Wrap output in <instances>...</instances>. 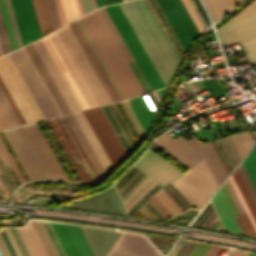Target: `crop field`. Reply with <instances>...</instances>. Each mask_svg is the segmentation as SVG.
<instances>
[{
	"label": "crop field",
	"mask_w": 256,
	"mask_h": 256,
	"mask_svg": "<svg viewBox=\"0 0 256 256\" xmlns=\"http://www.w3.org/2000/svg\"><path fill=\"white\" fill-rule=\"evenodd\" d=\"M61 4L65 14L66 22L81 15L77 0H61Z\"/></svg>",
	"instance_id": "1d83c4d3"
},
{
	"label": "crop field",
	"mask_w": 256,
	"mask_h": 256,
	"mask_svg": "<svg viewBox=\"0 0 256 256\" xmlns=\"http://www.w3.org/2000/svg\"><path fill=\"white\" fill-rule=\"evenodd\" d=\"M27 53L29 54L31 60L33 61L35 67L37 68L39 74L41 75L42 79L44 80L46 86L48 87L50 93L52 94L54 100L56 101L58 107L60 108L62 114L69 113L70 110L66 105L63 97L61 96L59 90L57 89L56 85L54 84L52 78L50 77L49 73L47 72L45 66L43 65L42 61L40 60L39 56L37 55L35 49L33 48L32 44L25 46Z\"/></svg>",
	"instance_id": "4a817a6b"
},
{
	"label": "crop field",
	"mask_w": 256,
	"mask_h": 256,
	"mask_svg": "<svg viewBox=\"0 0 256 256\" xmlns=\"http://www.w3.org/2000/svg\"><path fill=\"white\" fill-rule=\"evenodd\" d=\"M19 29L22 45H26L38 38L40 32L35 18L31 0H11Z\"/></svg>",
	"instance_id": "28ad6ade"
},
{
	"label": "crop field",
	"mask_w": 256,
	"mask_h": 256,
	"mask_svg": "<svg viewBox=\"0 0 256 256\" xmlns=\"http://www.w3.org/2000/svg\"><path fill=\"white\" fill-rule=\"evenodd\" d=\"M249 255H250V256H256V255H254V254H250V253H249Z\"/></svg>",
	"instance_id": "c3a83c6f"
},
{
	"label": "crop field",
	"mask_w": 256,
	"mask_h": 256,
	"mask_svg": "<svg viewBox=\"0 0 256 256\" xmlns=\"http://www.w3.org/2000/svg\"><path fill=\"white\" fill-rule=\"evenodd\" d=\"M202 83L213 98L224 95L215 79L202 80Z\"/></svg>",
	"instance_id": "028f5c9d"
},
{
	"label": "crop field",
	"mask_w": 256,
	"mask_h": 256,
	"mask_svg": "<svg viewBox=\"0 0 256 256\" xmlns=\"http://www.w3.org/2000/svg\"><path fill=\"white\" fill-rule=\"evenodd\" d=\"M0 88H1V90L3 91V93H4L5 97L7 98V100H8V102H9V104L11 105V107H12L13 111L15 112V114H16V116H17V118L19 119V121H20L21 125H24V124H25V122H24L23 118L21 117L20 113L18 112V110H17L16 106L14 105V103H13L12 99L10 98V96H9V94H8L7 90L5 89V87H4V85H3V83H2V81H1V80H0Z\"/></svg>",
	"instance_id": "b54c1fbb"
},
{
	"label": "crop field",
	"mask_w": 256,
	"mask_h": 256,
	"mask_svg": "<svg viewBox=\"0 0 256 256\" xmlns=\"http://www.w3.org/2000/svg\"><path fill=\"white\" fill-rule=\"evenodd\" d=\"M173 215L183 210L172 200V198L161 188L154 195Z\"/></svg>",
	"instance_id": "bd1437ed"
},
{
	"label": "crop field",
	"mask_w": 256,
	"mask_h": 256,
	"mask_svg": "<svg viewBox=\"0 0 256 256\" xmlns=\"http://www.w3.org/2000/svg\"><path fill=\"white\" fill-rule=\"evenodd\" d=\"M211 202L224 227L228 230L241 233L220 189H218V191L212 197Z\"/></svg>",
	"instance_id": "92a150f3"
},
{
	"label": "crop field",
	"mask_w": 256,
	"mask_h": 256,
	"mask_svg": "<svg viewBox=\"0 0 256 256\" xmlns=\"http://www.w3.org/2000/svg\"><path fill=\"white\" fill-rule=\"evenodd\" d=\"M216 216H217V215H216V213H215L214 210H213V212L210 214V216H209L208 219L205 221V223L202 225V227L208 228L209 225L212 223V221L215 219Z\"/></svg>",
	"instance_id": "9d1cf04e"
},
{
	"label": "crop field",
	"mask_w": 256,
	"mask_h": 256,
	"mask_svg": "<svg viewBox=\"0 0 256 256\" xmlns=\"http://www.w3.org/2000/svg\"><path fill=\"white\" fill-rule=\"evenodd\" d=\"M83 4H84V8H85V12H89L91 11V5H90V1L89 0H82Z\"/></svg>",
	"instance_id": "7b73153f"
},
{
	"label": "crop field",
	"mask_w": 256,
	"mask_h": 256,
	"mask_svg": "<svg viewBox=\"0 0 256 256\" xmlns=\"http://www.w3.org/2000/svg\"><path fill=\"white\" fill-rule=\"evenodd\" d=\"M65 118L101 181L102 179H104L107 176L104 169L102 168L100 162L98 161L96 155L94 154L93 150L91 149L89 143L87 142L85 136L83 135L82 131L80 130V128H79L78 124L76 123L75 119L73 118L72 114L65 115Z\"/></svg>",
	"instance_id": "bc2a9ffb"
},
{
	"label": "crop field",
	"mask_w": 256,
	"mask_h": 256,
	"mask_svg": "<svg viewBox=\"0 0 256 256\" xmlns=\"http://www.w3.org/2000/svg\"><path fill=\"white\" fill-rule=\"evenodd\" d=\"M0 147L2 148L4 154L6 155V157H7L8 161H9V163L11 164V166H12L13 170L15 171L17 177L19 178L21 184L25 183L24 180H23V178H22V176H21V174L19 173L17 167L15 166V164H14L12 158L10 157V155H9V153H8V151H7V149L5 148L3 142L1 141V139H0Z\"/></svg>",
	"instance_id": "d23c7cc5"
},
{
	"label": "crop field",
	"mask_w": 256,
	"mask_h": 256,
	"mask_svg": "<svg viewBox=\"0 0 256 256\" xmlns=\"http://www.w3.org/2000/svg\"><path fill=\"white\" fill-rule=\"evenodd\" d=\"M63 117V119H64V121H65V123L67 124V122H66V120H65V118H64V116H62ZM67 126H68V128H69V130L71 131V129H70V127H69V125L67 124ZM71 133H72V135H73V137L75 138V136H74V134H73V132L71 131ZM75 140H76V138H75ZM76 142H77V144L79 145V143H78V141L76 140ZM79 147H80V145H79ZM80 149H81V147H80ZM81 151H82V153L84 154V152H83V150L81 149ZM84 156H85V154H84ZM85 158H86V160L88 161V159H87V157L85 156ZM88 163H89V161H88ZM89 165H90V163H89ZM90 167L92 168V166L90 165ZM92 170H93V168H92ZM93 172H94V170H93ZM94 174L96 175V173L94 172ZM96 177H97V175H96ZM97 179H98V177H97ZM98 181H99V179H98Z\"/></svg>",
	"instance_id": "db79e9e6"
},
{
	"label": "crop field",
	"mask_w": 256,
	"mask_h": 256,
	"mask_svg": "<svg viewBox=\"0 0 256 256\" xmlns=\"http://www.w3.org/2000/svg\"><path fill=\"white\" fill-rule=\"evenodd\" d=\"M66 256H77L74 247L62 224L50 223Z\"/></svg>",
	"instance_id": "d3111659"
},
{
	"label": "crop field",
	"mask_w": 256,
	"mask_h": 256,
	"mask_svg": "<svg viewBox=\"0 0 256 256\" xmlns=\"http://www.w3.org/2000/svg\"><path fill=\"white\" fill-rule=\"evenodd\" d=\"M178 39L186 50L189 43L200 33L195 28L180 0H156Z\"/></svg>",
	"instance_id": "3316defc"
},
{
	"label": "crop field",
	"mask_w": 256,
	"mask_h": 256,
	"mask_svg": "<svg viewBox=\"0 0 256 256\" xmlns=\"http://www.w3.org/2000/svg\"><path fill=\"white\" fill-rule=\"evenodd\" d=\"M77 22H78L79 26L81 27L83 33L85 34L87 40L89 41L90 45L92 46L94 52L96 53L98 59L100 60L102 66L104 67L106 73L108 74L110 80L112 81L113 85L115 86V88H116L117 92L119 93L121 99H124V98H125L124 94L122 93L120 87L118 86V84H117V82L115 81L113 75L111 74V72H110V70H109L110 68L108 69L109 66L107 67V65H106V63H105V61H104L105 59L103 60V58H102L100 52L98 51V49H97L95 43L93 42L91 36L89 35V33H88L86 27L84 26V24H83L81 18L77 19Z\"/></svg>",
	"instance_id": "ae1a2a85"
},
{
	"label": "crop field",
	"mask_w": 256,
	"mask_h": 256,
	"mask_svg": "<svg viewBox=\"0 0 256 256\" xmlns=\"http://www.w3.org/2000/svg\"><path fill=\"white\" fill-rule=\"evenodd\" d=\"M29 180L51 179L22 127L3 131Z\"/></svg>",
	"instance_id": "e52e79f7"
},
{
	"label": "crop field",
	"mask_w": 256,
	"mask_h": 256,
	"mask_svg": "<svg viewBox=\"0 0 256 256\" xmlns=\"http://www.w3.org/2000/svg\"><path fill=\"white\" fill-rule=\"evenodd\" d=\"M153 143L188 169L204 159L218 185L228 176L212 142L201 144L196 137L188 141L181 136L174 140L165 133Z\"/></svg>",
	"instance_id": "ac0d7876"
},
{
	"label": "crop field",
	"mask_w": 256,
	"mask_h": 256,
	"mask_svg": "<svg viewBox=\"0 0 256 256\" xmlns=\"http://www.w3.org/2000/svg\"><path fill=\"white\" fill-rule=\"evenodd\" d=\"M71 30L73 31L75 37L77 38L78 42L80 43L82 49L84 50L86 56L88 57L90 63L92 64L93 68L95 69L97 75L104 74L105 71L101 66L99 60L97 59L95 53L93 52L91 46L89 45L88 41L86 40L84 34L82 33L80 27L78 26L76 20L68 23ZM102 84L104 85L107 93L109 94L112 102L120 100L118 93L116 92L114 86L112 85L111 81L109 80L107 74L99 76Z\"/></svg>",
	"instance_id": "5142ce71"
},
{
	"label": "crop field",
	"mask_w": 256,
	"mask_h": 256,
	"mask_svg": "<svg viewBox=\"0 0 256 256\" xmlns=\"http://www.w3.org/2000/svg\"><path fill=\"white\" fill-rule=\"evenodd\" d=\"M195 243L189 242L188 245L184 248V250L181 252L179 256H186L188 252L191 250V248L194 246Z\"/></svg>",
	"instance_id": "447ae74e"
},
{
	"label": "crop field",
	"mask_w": 256,
	"mask_h": 256,
	"mask_svg": "<svg viewBox=\"0 0 256 256\" xmlns=\"http://www.w3.org/2000/svg\"><path fill=\"white\" fill-rule=\"evenodd\" d=\"M255 223H256V204L238 170V168L231 174Z\"/></svg>",
	"instance_id": "4177f3b9"
},
{
	"label": "crop field",
	"mask_w": 256,
	"mask_h": 256,
	"mask_svg": "<svg viewBox=\"0 0 256 256\" xmlns=\"http://www.w3.org/2000/svg\"><path fill=\"white\" fill-rule=\"evenodd\" d=\"M221 45L241 43L256 37V18L219 30Z\"/></svg>",
	"instance_id": "d9b57169"
},
{
	"label": "crop field",
	"mask_w": 256,
	"mask_h": 256,
	"mask_svg": "<svg viewBox=\"0 0 256 256\" xmlns=\"http://www.w3.org/2000/svg\"><path fill=\"white\" fill-rule=\"evenodd\" d=\"M242 233L256 235V232L247 216V214L235 217Z\"/></svg>",
	"instance_id": "5866460e"
},
{
	"label": "crop field",
	"mask_w": 256,
	"mask_h": 256,
	"mask_svg": "<svg viewBox=\"0 0 256 256\" xmlns=\"http://www.w3.org/2000/svg\"><path fill=\"white\" fill-rule=\"evenodd\" d=\"M214 21L240 3L242 0H203Z\"/></svg>",
	"instance_id": "a9b5d70f"
},
{
	"label": "crop field",
	"mask_w": 256,
	"mask_h": 256,
	"mask_svg": "<svg viewBox=\"0 0 256 256\" xmlns=\"http://www.w3.org/2000/svg\"><path fill=\"white\" fill-rule=\"evenodd\" d=\"M226 256H249L248 253L230 250Z\"/></svg>",
	"instance_id": "0765c3eb"
},
{
	"label": "crop field",
	"mask_w": 256,
	"mask_h": 256,
	"mask_svg": "<svg viewBox=\"0 0 256 256\" xmlns=\"http://www.w3.org/2000/svg\"><path fill=\"white\" fill-rule=\"evenodd\" d=\"M123 0H105V4L108 5V4H112V3H117V2H121Z\"/></svg>",
	"instance_id": "78b8030e"
},
{
	"label": "crop field",
	"mask_w": 256,
	"mask_h": 256,
	"mask_svg": "<svg viewBox=\"0 0 256 256\" xmlns=\"http://www.w3.org/2000/svg\"><path fill=\"white\" fill-rule=\"evenodd\" d=\"M181 1L183 2V4H184L186 10L188 11V13H189L191 19L193 20V22H194L196 28H197V29L199 30V32L201 33L204 29H203L201 23L199 22V20H198L196 14L194 13L192 7L190 6L188 0H181Z\"/></svg>",
	"instance_id": "03da06ac"
},
{
	"label": "crop field",
	"mask_w": 256,
	"mask_h": 256,
	"mask_svg": "<svg viewBox=\"0 0 256 256\" xmlns=\"http://www.w3.org/2000/svg\"><path fill=\"white\" fill-rule=\"evenodd\" d=\"M230 138L242 160L254 142L249 131L234 134Z\"/></svg>",
	"instance_id": "730fd06b"
},
{
	"label": "crop field",
	"mask_w": 256,
	"mask_h": 256,
	"mask_svg": "<svg viewBox=\"0 0 256 256\" xmlns=\"http://www.w3.org/2000/svg\"><path fill=\"white\" fill-rule=\"evenodd\" d=\"M48 256H58L42 223L31 221Z\"/></svg>",
	"instance_id": "750c4746"
},
{
	"label": "crop field",
	"mask_w": 256,
	"mask_h": 256,
	"mask_svg": "<svg viewBox=\"0 0 256 256\" xmlns=\"http://www.w3.org/2000/svg\"><path fill=\"white\" fill-rule=\"evenodd\" d=\"M164 86L170 85L180 64L144 0L119 4Z\"/></svg>",
	"instance_id": "8a807250"
},
{
	"label": "crop field",
	"mask_w": 256,
	"mask_h": 256,
	"mask_svg": "<svg viewBox=\"0 0 256 256\" xmlns=\"http://www.w3.org/2000/svg\"><path fill=\"white\" fill-rule=\"evenodd\" d=\"M0 154H1V156L3 157L5 163H7V161H6L5 157H4V155L2 154L1 150H0Z\"/></svg>",
	"instance_id": "c39391a2"
},
{
	"label": "crop field",
	"mask_w": 256,
	"mask_h": 256,
	"mask_svg": "<svg viewBox=\"0 0 256 256\" xmlns=\"http://www.w3.org/2000/svg\"><path fill=\"white\" fill-rule=\"evenodd\" d=\"M153 206L166 218L172 215L154 196L149 200Z\"/></svg>",
	"instance_id": "25e5ab78"
},
{
	"label": "crop field",
	"mask_w": 256,
	"mask_h": 256,
	"mask_svg": "<svg viewBox=\"0 0 256 256\" xmlns=\"http://www.w3.org/2000/svg\"><path fill=\"white\" fill-rule=\"evenodd\" d=\"M42 223H43V225H44V227H45V229H46V231H47V233H48V235H49V237H50V239H51V241H52V243H53V245H54V247H55V249L58 253V255L59 256H65L64 253H63V250H62V248H61V246H60V244H59V242H58V240H57V238H56V236H55V234H54V232H53V230L50 226V224L45 223V222H42Z\"/></svg>",
	"instance_id": "b80d0937"
},
{
	"label": "crop field",
	"mask_w": 256,
	"mask_h": 256,
	"mask_svg": "<svg viewBox=\"0 0 256 256\" xmlns=\"http://www.w3.org/2000/svg\"><path fill=\"white\" fill-rule=\"evenodd\" d=\"M76 65L81 71L99 105L111 103L109 96L91 67L88 59L70 30L68 24L57 30Z\"/></svg>",
	"instance_id": "d8731c3e"
},
{
	"label": "crop field",
	"mask_w": 256,
	"mask_h": 256,
	"mask_svg": "<svg viewBox=\"0 0 256 256\" xmlns=\"http://www.w3.org/2000/svg\"><path fill=\"white\" fill-rule=\"evenodd\" d=\"M0 172H1V169H0Z\"/></svg>",
	"instance_id": "fb207236"
},
{
	"label": "crop field",
	"mask_w": 256,
	"mask_h": 256,
	"mask_svg": "<svg viewBox=\"0 0 256 256\" xmlns=\"http://www.w3.org/2000/svg\"><path fill=\"white\" fill-rule=\"evenodd\" d=\"M55 3H56V6H57V10H58V13H59L61 24L63 25L66 22H65L64 14H63L62 7H61V4H60V0H55Z\"/></svg>",
	"instance_id": "1d79db26"
},
{
	"label": "crop field",
	"mask_w": 256,
	"mask_h": 256,
	"mask_svg": "<svg viewBox=\"0 0 256 256\" xmlns=\"http://www.w3.org/2000/svg\"><path fill=\"white\" fill-rule=\"evenodd\" d=\"M78 3H79V6H80V10H81V14H85L84 12V8H83V5H82V1L81 0H78Z\"/></svg>",
	"instance_id": "0f1d7ab4"
},
{
	"label": "crop field",
	"mask_w": 256,
	"mask_h": 256,
	"mask_svg": "<svg viewBox=\"0 0 256 256\" xmlns=\"http://www.w3.org/2000/svg\"><path fill=\"white\" fill-rule=\"evenodd\" d=\"M41 40L69 86L79 108L82 110L98 106L57 31Z\"/></svg>",
	"instance_id": "34b2d1b8"
},
{
	"label": "crop field",
	"mask_w": 256,
	"mask_h": 256,
	"mask_svg": "<svg viewBox=\"0 0 256 256\" xmlns=\"http://www.w3.org/2000/svg\"><path fill=\"white\" fill-rule=\"evenodd\" d=\"M106 9L127 47L132 53L136 64L149 84L151 90L163 87L161 80L159 79L156 71L150 63L118 4L107 6Z\"/></svg>",
	"instance_id": "dd49c442"
},
{
	"label": "crop field",
	"mask_w": 256,
	"mask_h": 256,
	"mask_svg": "<svg viewBox=\"0 0 256 256\" xmlns=\"http://www.w3.org/2000/svg\"><path fill=\"white\" fill-rule=\"evenodd\" d=\"M114 168L127 156L100 107L83 111Z\"/></svg>",
	"instance_id": "5a996713"
},
{
	"label": "crop field",
	"mask_w": 256,
	"mask_h": 256,
	"mask_svg": "<svg viewBox=\"0 0 256 256\" xmlns=\"http://www.w3.org/2000/svg\"><path fill=\"white\" fill-rule=\"evenodd\" d=\"M63 225L76 249L78 256H93L79 227L75 225Z\"/></svg>",
	"instance_id": "00972430"
},
{
	"label": "crop field",
	"mask_w": 256,
	"mask_h": 256,
	"mask_svg": "<svg viewBox=\"0 0 256 256\" xmlns=\"http://www.w3.org/2000/svg\"><path fill=\"white\" fill-rule=\"evenodd\" d=\"M5 4H6V7H7L8 14H9V18H10V22H11L12 29H13V32H14L17 47L19 48L22 45H21V41H20L18 30H17V26H16V22H15V18H14V14H13V11H12L10 0H5Z\"/></svg>",
	"instance_id": "0bd39190"
},
{
	"label": "crop field",
	"mask_w": 256,
	"mask_h": 256,
	"mask_svg": "<svg viewBox=\"0 0 256 256\" xmlns=\"http://www.w3.org/2000/svg\"><path fill=\"white\" fill-rule=\"evenodd\" d=\"M24 48V47H23ZM25 50V49H24ZM26 52V51H25ZM27 54V53H26ZM28 55V54H27ZM29 57V56H28ZM30 59V58H29ZM31 61V60H30ZM32 62V61H31ZM33 64V63H32ZM34 66V65H33ZM35 68V67H34ZM36 69V68H35ZM37 71V70H36ZM38 73V72H37ZM39 75V74H38ZM40 76V75H39ZM41 78V77H40ZM42 80V79H41ZM43 82V81H42ZM44 83V82H43ZM45 85V84H44ZM46 87V86H45ZM47 88V87H46ZM48 90V89H47ZM49 92V91H48ZM50 94V93H49ZM51 95V94H50ZM52 97V96H51ZM53 99V98H52ZM54 101V100H53ZM55 102V101H54ZM56 104V103H55ZM57 106V105H56ZM58 108V107H57ZM59 109V108H58ZM60 111V110H59ZM61 113V112H60ZM62 115V114H61Z\"/></svg>",
	"instance_id": "d14b1444"
},
{
	"label": "crop field",
	"mask_w": 256,
	"mask_h": 256,
	"mask_svg": "<svg viewBox=\"0 0 256 256\" xmlns=\"http://www.w3.org/2000/svg\"><path fill=\"white\" fill-rule=\"evenodd\" d=\"M254 17H256V13L245 16V17H242V18H239V19H236V20H233V21H230L226 25H224L223 27H226V26H229V25H232V24H235V23L247 20V19H251V18H254ZM223 27H221V28H223Z\"/></svg>",
	"instance_id": "dbb93151"
},
{
	"label": "crop field",
	"mask_w": 256,
	"mask_h": 256,
	"mask_svg": "<svg viewBox=\"0 0 256 256\" xmlns=\"http://www.w3.org/2000/svg\"><path fill=\"white\" fill-rule=\"evenodd\" d=\"M149 149L147 148L145 154L135 164L149 174L158 183L164 185L182 175L179 171Z\"/></svg>",
	"instance_id": "cbeb9de0"
},
{
	"label": "crop field",
	"mask_w": 256,
	"mask_h": 256,
	"mask_svg": "<svg viewBox=\"0 0 256 256\" xmlns=\"http://www.w3.org/2000/svg\"><path fill=\"white\" fill-rule=\"evenodd\" d=\"M243 163L256 187V144Z\"/></svg>",
	"instance_id": "120bbe31"
},
{
	"label": "crop field",
	"mask_w": 256,
	"mask_h": 256,
	"mask_svg": "<svg viewBox=\"0 0 256 256\" xmlns=\"http://www.w3.org/2000/svg\"><path fill=\"white\" fill-rule=\"evenodd\" d=\"M250 64L256 63V38L240 44Z\"/></svg>",
	"instance_id": "d32e631a"
},
{
	"label": "crop field",
	"mask_w": 256,
	"mask_h": 256,
	"mask_svg": "<svg viewBox=\"0 0 256 256\" xmlns=\"http://www.w3.org/2000/svg\"><path fill=\"white\" fill-rule=\"evenodd\" d=\"M225 184H226V186H227V188H228V190H229V192H230V194H231V196H232L240 214L246 213L242 204H241V202H240V200H239V198H238V196H237V194H236V192H235V190H234V188H233V186H232V184H231V182H230V180H229V178L227 179Z\"/></svg>",
	"instance_id": "c21b1889"
},
{
	"label": "crop field",
	"mask_w": 256,
	"mask_h": 256,
	"mask_svg": "<svg viewBox=\"0 0 256 256\" xmlns=\"http://www.w3.org/2000/svg\"><path fill=\"white\" fill-rule=\"evenodd\" d=\"M97 10L100 12V14H101V16H102L104 22L106 23V25H107L109 31L111 32V34H112V36H113L115 42L117 43V45H118L120 51H121L122 54H123L125 60H126L127 62L133 60V58L131 57L130 53L128 52L126 46L124 45L122 39L120 38V36H119V34H118V32H117V30H116L114 24L112 23L110 17L108 16V14H107L105 8L102 7V8H99V9H97Z\"/></svg>",
	"instance_id": "eef30255"
},
{
	"label": "crop field",
	"mask_w": 256,
	"mask_h": 256,
	"mask_svg": "<svg viewBox=\"0 0 256 256\" xmlns=\"http://www.w3.org/2000/svg\"><path fill=\"white\" fill-rule=\"evenodd\" d=\"M18 232L30 256H47L30 221Z\"/></svg>",
	"instance_id": "dafd665d"
},
{
	"label": "crop field",
	"mask_w": 256,
	"mask_h": 256,
	"mask_svg": "<svg viewBox=\"0 0 256 256\" xmlns=\"http://www.w3.org/2000/svg\"><path fill=\"white\" fill-rule=\"evenodd\" d=\"M254 12H256V1H254L247 9H245L243 12H241L239 15H237L233 19L245 16V15H248V14H251V13H254Z\"/></svg>",
	"instance_id": "89e229c0"
},
{
	"label": "crop field",
	"mask_w": 256,
	"mask_h": 256,
	"mask_svg": "<svg viewBox=\"0 0 256 256\" xmlns=\"http://www.w3.org/2000/svg\"><path fill=\"white\" fill-rule=\"evenodd\" d=\"M0 99H1V101L3 103V105L5 106L7 112L9 113L11 119L13 120L15 126H19L20 123H19L18 119L16 118L14 112L12 111L10 105L8 104L6 98L4 97V95H3L1 90H0Z\"/></svg>",
	"instance_id": "425ffa30"
},
{
	"label": "crop field",
	"mask_w": 256,
	"mask_h": 256,
	"mask_svg": "<svg viewBox=\"0 0 256 256\" xmlns=\"http://www.w3.org/2000/svg\"><path fill=\"white\" fill-rule=\"evenodd\" d=\"M96 2H97V6H98V7L105 5V4H104V0H96Z\"/></svg>",
	"instance_id": "e1d0b9f6"
},
{
	"label": "crop field",
	"mask_w": 256,
	"mask_h": 256,
	"mask_svg": "<svg viewBox=\"0 0 256 256\" xmlns=\"http://www.w3.org/2000/svg\"><path fill=\"white\" fill-rule=\"evenodd\" d=\"M9 229H10V231H11V233H12V235H13V237H14V239H15V241H16V243H17V245H18V247H19V249L22 253V255L23 256H29V254H28V252H27V250H26V248H25V246H24V244H23V242H22V240H21V238H20V236L17 232L18 229L17 230L12 229V228H9Z\"/></svg>",
	"instance_id": "5d738f31"
},
{
	"label": "crop field",
	"mask_w": 256,
	"mask_h": 256,
	"mask_svg": "<svg viewBox=\"0 0 256 256\" xmlns=\"http://www.w3.org/2000/svg\"><path fill=\"white\" fill-rule=\"evenodd\" d=\"M223 249V250H229V249H226V248H220V247H214V246H211V248L208 250V252L206 253L205 256H215L217 253H219V251Z\"/></svg>",
	"instance_id": "0fb4a251"
},
{
	"label": "crop field",
	"mask_w": 256,
	"mask_h": 256,
	"mask_svg": "<svg viewBox=\"0 0 256 256\" xmlns=\"http://www.w3.org/2000/svg\"><path fill=\"white\" fill-rule=\"evenodd\" d=\"M0 5H1V8H2L3 15H4V19H5V23H6V26H7L9 38H10L11 45H12V49L13 50L17 49L16 43H15V40H14V36H13V32H12V29H11V25H10V22H9V18H8V15H7L6 7H5V4H4V0H0Z\"/></svg>",
	"instance_id": "c035e120"
},
{
	"label": "crop field",
	"mask_w": 256,
	"mask_h": 256,
	"mask_svg": "<svg viewBox=\"0 0 256 256\" xmlns=\"http://www.w3.org/2000/svg\"><path fill=\"white\" fill-rule=\"evenodd\" d=\"M3 53H2V49H1V46H0V55H2Z\"/></svg>",
	"instance_id": "ade564c9"
},
{
	"label": "crop field",
	"mask_w": 256,
	"mask_h": 256,
	"mask_svg": "<svg viewBox=\"0 0 256 256\" xmlns=\"http://www.w3.org/2000/svg\"><path fill=\"white\" fill-rule=\"evenodd\" d=\"M0 77L26 124L44 119L9 54L0 57Z\"/></svg>",
	"instance_id": "412701ff"
},
{
	"label": "crop field",
	"mask_w": 256,
	"mask_h": 256,
	"mask_svg": "<svg viewBox=\"0 0 256 256\" xmlns=\"http://www.w3.org/2000/svg\"><path fill=\"white\" fill-rule=\"evenodd\" d=\"M4 230H5V232H6L7 236H8V238H9V240H10V242H11V244H12V246H13L15 252H16V255H17V256H22L21 253H20V251H19V249H18V247H17V245H16V243H15V241H14V239H13V237H12V235H11V233H10V231H9V229L6 228V229H4Z\"/></svg>",
	"instance_id": "1f2cbd36"
},
{
	"label": "crop field",
	"mask_w": 256,
	"mask_h": 256,
	"mask_svg": "<svg viewBox=\"0 0 256 256\" xmlns=\"http://www.w3.org/2000/svg\"><path fill=\"white\" fill-rule=\"evenodd\" d=\"M170 183L197 209L218 186L204 160Z\"/></svg>",
	"instance_id": "f4fd0767"
},
{
	"label": "crop field",
	"mask_w": 256,
	"mask_h": 256,
	"mask_svg": "<svg viewBox=\"0 0 256 256\" xmlns=\"http://www.w3.org/2000/svg\"><path fill=\"white\" fill-rule=\"evenodd\" d=\"M0 248L4 256H16L4 230L0 231Z\"/></svg>",
	"instance_id": "e1f06a70"
},
{
	"label": "crop field",
	"mask_w": 256,
	"mask_h": 256,
	"mask_svg": "<svg viewBox=\"0 0 256 256\" xmlns=\"http://www.w3.org/2000/svg\"><path fill=\"white\" fill-rule=\"evenodd\" d=\"M240 166H241V168H242V170H243V172H244V174H245V176H246L248 182L250 183V185H251V187H252V189H253V191H254V193H255V195H256V190H255V188H254V186H253V184H252V182H251V180H250V178H249V176H248V174H247V172H246V170H245L243 164H241ZM240 166H239L238 168H239V170H240V172H241V174H242V176H243V178H244V180H245V182H246V184H247V186H248V188H249V190H250V192H251V194H252L254 200H256V197H255V195H254V193H253V191H252V189H251L249 183L247 182V180H246V178H245V176H244V174H243V172H242ZM255 202H256V201H255Z\"/></svg>",
	"instance_id": "73cf0c24"
},
{
	"label": "crop field",
	"mask_w": 256,
	"mask_h": 256,
	"mask_svg": "<svg viewBox=\"0 0 256 256\" xmlns=\"http://www.w3.org/2000/svg\"><path fill=\"white\" fill-rule=\"evenodd\" d=\"M0 160H1L2 164H4V161H3V159L1 158V156H0Z\"/></svg>",
	"instance_id": "c5b07064"
},
{
	"label": "crop field",
	"mask_w": 256,
	"mask_h": 256,
	"mask_svg": "<svg viewBox=\"0 0 256 256\" xmlns=\"http://www.w3.org/2000/svg\"><path fill=\"white\" fill-rule=\"evenodd\" d=\"M55 121H56V123H57V125L59 127V128H57V131H58V133L61 136L63 141H61L59 135L57 134V132L54 129L53 125L51 124L50 120H48V122H49V124H50V126H51V128H52V130L54 132V134L56 135V137H57L58 141L60 142L62 148L64 149L66 155L68 156L69 160L71 161V163H72L73 167L75 168L77 174L79 175L81 181H92L90 176H89V174H88V172H86V173L83 172V170H82V168H81L77 158H75V160L77 162L75 164L71 160L70 157H72V154H71L70 151H72L71 148H74L75 145L72 142V140L70 139V137H69L68 133L66 132L65 128L62 127L59 118H56Z\"/></svg>",
	"instance_id": "214f88e0"
},
{
	"label": "crop field",
	"mask_w": 256,
	"mask_h": 256,
	"mask_svg": "<svg viewBox=\"0 0 256 256\" xmlns=\"http://www.w3.org/2000/svg\"><path fill=\"white\" fill-rule=\"evenodd\" d=\"M80 227L94 256H104L108 248L118 237L117 232L113 230Z\"/></svg>",
	"instance_id": "733c2abd"
},
{
	"label": "crop field",
	"mask_w": 256,
	"mask_h": 256,
	"mask_svg": "<svg viewBox=\"0 0 256 256\" xmlns=\"http://www.w3.org/2000/svg\"><path fill=\"white\" fill-rule=\"evenodd\" d=\"M28 138L40 156L52 179L67 180L52 151L38 129L36 123L23 126Z\"/></svg>",
	"instance_id": "22f410ed"
},
{
	"label": "crop field",
	"mask_w": 256,
	"mask_h": 256,
	"mask_svg": "<svg viewBox=\"0 0 256 256\" xmlns=\"http://www.w3.org/2000/svg\"><path fill=\"white\" fill-rule=\"evenodd\" d=\"M90 1H91L92 9L97 8L95 0H90Z\"/></svg>",
	"instance_id": "ae633e8c"
},
{
	"label": "crop field",
	"mask_w": 256,
	"mask_h": 256,
	"mask_svg": "<svg viewBox=\"0 0 256 256\" xmlns=\"http://www.w3.org/2000/svg\"><path fill=\"white\" fill-rule=\"evenodd\" d=\"M70 207L127 216L114 187L96 196L73 201Z\"/></svg>",
	"instance_id": "d1516ede"
}]
</instances>
